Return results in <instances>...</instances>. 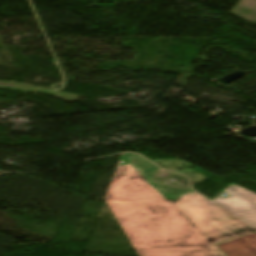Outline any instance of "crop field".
<instances>
[{
  "instance_id": "3",
  "label": "crop field",
  "mask_w": 256,
  "mask_h": 256,
  "mask_svg": "<svg viewBox=\"0 0 256 256\" xmlns=\"http://www.w3.org/2000/svg\"><path fill=\"white\" fill-rule=\"evenodd\" d=\"M223 192L228 194L229 197L222 198L218 196L213 203L256 229V194L233 183Z\"/></svg>"
},
{
  "instance_id": "2",
  "label": "crop field",
  "mask_w": 256,
  "mask_h": 256,
  "mask_svg": "<svg viewBox=\"0 0 256 256\" xmlns=\"http://www.w3.org/2000/svg\"><path fill=\"white\" fill-rule=\"evenodd\" d=\"M173 203L216 244L254 232L195 192Z\"/></svg>"
},
{
  "instance_id": "1",
  "label": "crop field",
  "mask_w": 256,
  "mask_h": 256,
  "mask_svg": "<svg viewBox=\"0 0 256 256\" xmlns=\"http://www.w3.org/2000/svg\"><path fill=\"white\" fill-rule=\"evenodd\" d=\"M159 168L122 154L105 200L139 256H225L172 203L191 191L152 182Z\"/></svg>"
}]
</instances>
